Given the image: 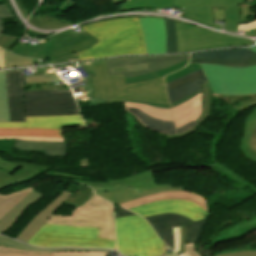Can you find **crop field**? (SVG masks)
Wrapping results in <instances>:
<instances>
[{"instance_id": "dbb93151", "label": "crop field", "mask_w": 256, "mask_h": 256, "mask_svg": "<svg viewBox=\"0 0 256 256\" xmlns=\"http://www.w3.org/2000/svg\"><path fill=\"white\" fill-rule=\"evenodd\" d=\"M17 40L18 38L16 37L2 34L0 36V46L9 50Z\"/></svg>"}, {"instance_id": "5866460e", "label": "crop field", "mask_w": 256, "mask_h": 256, "mask_svg": "<svg viewBox=\"0 0 256 256\" xmlns=\"http://www.w3.org/2000/svg\"><path fill=\"white\" fill-rule=\"evenodd\" d=\"M45 68L46 70L37 71V73L34 76L24 77L26 84L50 82V81H62L50 66Z\"/></svg>"}, {"instance_id": "120bbe31", "label": "crop field", "mask_w": 256, "mask_h": 256, "mask_svg": "<svg viewBox=\"0 0 256 256\" xmlns=\"http://www.w3.org/2000/svg\"><path fill=\"white\" fill-rule=\"evenodd\" d=\"M190 62L212 63V64H218V65L227 66V67H244V66L256 65V57H250V58L239 59V60L197 58V59H191Z\"/></svg>"}, {"instance_id": "4177f3b9", "label": "crop field", "mask_w": 256, "mask_h": 256, "mask_svg": "<svg viewBox=\"0 0 256 256\" xmlns=\"http://www.w3.org/2000/svg\"><path fill=\"white\" fill-rule=\"evenodd\" d=\"M184 188H186V187L161 189V190H155V191H151L148 193L136 195L130 187V188L115 191V192H100V191L98 192V191H96L95 194H97L113 203L119 204V203L131 201L134 199H138L142 196L149 195L152 193H159V192H163V191H178V190H184Z\"/></svg>"}, {"instance_id": "d32e631a", "label": "crop field", "mask_w": 256, "mask_h": 256, "mask_svg": "<svg viewBox=\"0 0 256 256\" xmlns=\"http://www.w3.org/2000/svg\"><path fill=\"white\" fill-rule=\"evenodd\" d=\"M125 107H135L146 114L161 120L173 121L170 109H158L143 104L125 102Z\"/></svg>"}, {"instance_id": "34b2d1b8", "label": "crop field", "mask_w": 256, "mask_h": 256, "mask_svg": "<svg viewBox=\"0 0 256 256\" xmlns=\"http://www.w3.org/2000/svg\"><path fill=\"white\" fill-rule=\"evenodd\" d=\"M119 252L131 256H158L164 254V244L151 226L140 216L119 218L115 221Z\"/></svg>"}, {"instance_id": "425ffa30", "label": "crop field", "mask_w": 256, "mask_h": 256, "mask_svg": "<svg viewBox=\"0 0 256 256\" xmlns=\"http://www.w3.org/2000/svg\"><path fill=\"white\" fill-rule=\"evenodd\" d=\"M4 163L21 166L25 169H29V170L40 172V173H45L46 171L51 169V167H48V166H42V165L31 164V163L12 162V161H5V160H4Z\"/></svg>"}, {"instance_id": "412701ff", "label": "crop field", "mask_w": 256, "mask_h": 256, "mask_svg": "<svg viewBox=\"0 0 256 256\" xmlns=\"http://www.w3.org/2000/svg\"><path fill=\"white\" fill-rule=\"evenodd\" d=\"M99 229L46 225L28 240V244L42 247L75 246L113 248L115 241L96 238Z\"/></svg>"}, {"instance_id": "b54c1fbb", "label": "crop field", "mask_w": 256, "mask_h": 256, "mask_svg": "<svg viewBox=\"0 0 256 256\" xmlns=\"http://www.w3.org/2000/svg\"><path fill=\"white\" fill-rule=\"evenodd\" d=\"M1 254H13V255H53V252H31L21 251L13 248L0 246Z\"/></svg>"}, {"instance_id": "d23c7cc5", "label": "crop field", "mask_w": 256, "mask_h": 256, "mask_svg": "<svg viewBox=\"0 0 256 256\" xmlns=\"http://www.w3.org/2000/svg\"><path fill=\"white\" fill-rule=\"evenodd\" d=\"M198 69H201L199 65L189 64L186 67H184L183 69L166 76L165 81H166V83H168V82L172 81L175 78H178L182 75L188 74V73L193 72V71L198 70Z\"/></svg>"}, {"instance_id": "c39391a2", "label": "crop field", "mask_w": 256, "mask_h": 256, "mask_svg": "<svg viewBox=\"0 0 256 256\" xmlns=\"http://www.w3.org/2000/svg\"><path fill=\"white\" fill-rule=\"evenodd\" d=\"M200 92H202V90H200L199 92H197V93H195V94H192V95H190V96H188V97H186V98H184V99H182V100H179V101H177V102L172 103L171 106L174 107V106H176V105H178V104H180V103H182V102H184V101H186V100H188V99H190V98L196 96V95L199 94Z\"/></svg>"}, {"instance_id": "447ae74e", "label": "crop field", "mask_w": 256, "mask_h": 256, "mask_svg": "<svg viewBox=\"0 0 256 256\" xmlns=\"http://www.w3.org/2000/svg\"><path fill=\"white\" fill-rule=\"evenodd\" d=\"M73 95L69 96H49V97H29L24 98L25 101H35V100H56V99H72Z\"/></svg>"}, {"instance_id": "750c4746", "label": "crop field", "mask_w": 256, "mask_h": 256, "mask_svg": "<svg viewBox=\"0 0 256 256\" xmlns=\"http://www.w3.org/2000/svg\"><path fill=\"white\" fill-rule=\"evenodd\" d=\"M231 175L235 176L238 180L242 181L243 183H247L246 181H244L243 179L238 177L236 174L233 173ZM247 184L252 186L249 183H247ZM255 190H256V188H255ZM255 224H256V218H254L250 221L245 220V221H243L239 224H236V225L232 226L231 228L227 229L226 233L215 237L214 242L212 243V245L214 246L218 242H224V241H227V240H231V239L239 236L240 234H242V229L250 227V226L255 225Z\"/></svg>"}, {"instance_id": "89e229c0", "label": "crop field", "mask_w": 256, "mask_h": 256, "mask_svg": "<svg viewBox=\"0 0 256 256\" xmlns=\"http://www.w3.org/2000/svg\"><path fill=\"white\" fill-rule=\"evenodd\" d=\"M16 184L12 176L0 169V188Z\"/></svg>"}, {"instance_id": "7b73153f", "label": "crop field", "mask_w": 256, "mask_h": 256, "mask_svg": "<svg viewBox=\"0 0 256 256\" xmlns=\"http://www.w3.org/2000/svg\"><path fill=\"white\" fill-rule=\"evenodd\" d=\"M256 28V20L238 26L237 31H247Z\"/></svg>"}, {"instance_id": "28ad6ade", "label": "crop field", "mask_w": 256, "mask_h": 256, "mask_svg": "<svg viewBox=\"0 0 256 256\" xmlns=\"http://www.w3.org/2000/svg\"><path fill=\"white\" fill-rule=\"evenodd\" d=\"M123 99L169 104L163 77L148 82L128 84L105 103V105L124 101Z\"/></svg>"}, {"instance_id": "0765c3eb", "label": "crop field", "mask_w": 256, "mask_h": 256, "mask_svg": "<svg viewBox=\"0 0 256 256\" xmlns=\"http://www.w3.org/2000/svg\"><path fill=\"white\" fill-rule=\"evenodd\" d=\"M221 132L220 131L213 139L212 143H211V146H210V153H211V157H212V161H214V158H215V154H216V148L218 146V143H219V139L221 137Z\"/></svg>"}, {"instance_id": "0bd39190", "label": "crop field", "mask_w": 256, "mask_h": 256, "mask_svg": "<svg viewBox=\"0 0 256 256\" xmlns=\"http://www.w3.org/2000/svg\"><path fill=\"white\" fill-rule=\"evenodd\" d=\"M0 122H9L4 71H0Z\"/></svg>"}, {"instance_id": "1f1604b0", "label": "crop field", "mask_w": 256, "mask_h": 256, "mask_svg": "<svg viewBox=\"0 0 256 256\" xmlns=\"http://www.w3.org/2000/svg\"><path fill=\"white\" fill-rule=\"evenodd\" d=\"M0 1H2V0H0Z\"/></svg>"}, {"instance_id": "25e5ab78", "label": "crop field", "mask_w": 256, "mask_h": 256, "mask_svg": "<svg viewBox=\"0 0 256 256\" xmlns=\"http://www.w3.org/2000/svg\"><path fill=\"white\" fill-rule=\"evenodd\" d=\"M106 252H54V256H106ZM0 256H12L1 255Z\"/></svg>"}, {"instance_id": "fb207236", "label": "crop field", "mask_w": 256, "mask_h": 256, "mask_svg": "<svg viewBox=\"0 0 256 256\" xmlns=\"http://www.w3.org/2000/svg\"><path fill=\"white\" fill-rule=\"evenodd\" d=\"M196 125H197V124H196ZM199 125H200V124H198V125L195 126L193 129H191L190 131H188V132H186V133H184V134H181V135H168L167 138H171V137H181V136H183V135L189 134V133L193 132Z\"/></svg>"}, {"instance_id": "d3111659", "label": "crop field", "mask_w": 256, "mask_h": 256, "mask_svg": "<svg viewBox=\"0 0 256 256\" xmlns=\"http://www.w3.org/2000/svg\"><path fill=\"white\" fill-rule=\"evenodd\" d=\"M249 56H256V52L249 49H237V50H227V51H209V52L191 54V58L208 57V58L239 59V58H244Z\"/></svg>"}, {"instance_id": "92a150f3", "label": "crop field", "mask_w": 256, "mask_h": 256, "mask_svg": "<svg viewBox=\"0 0 256 256\" xmlns=\"http://www.w3.org/2000/svg\"><path fill=\"white\" fill-rule=\"evenodd\" d=\"M164 199H187V200H190V201L198 204L200 207H202L204 210H206L204 198L195 193H191V192H187V191L163 192L160 194H153V195L145 196L138 200H134V201L127 202L124 204H120V205L129 209V208H132L135 206H139V205L146 204V203H151L154 201L164 200Z\"/></svg>"}, {"instance_id": "8a807250", "label": "crop field", "mask_w": 256, "mask_h": 256, "mask_svg": "<svg viewBox=\"0 0 256 256\" xmlns=\"http://www.w3.org/2000/svg\"><path fill=\"white\" fill-rule=\"evenodd\" d=\"M100 41L87 51L52 60L50 64L109 57L122 54H145L144 39L137 17L113 18L79 26Z\"/></svg>"}, {"instance_id": "cbeb9de0", "label": "crop field", "mask_w": 256, "mask_h": 256, "mask_svg": "<svg viewBox=\"0 0 256 256\" xmlns=\"http://www.w3.org/2000/svg\"><path fill=\"white\" fill-rule=\"evenodd\" d=\"M74 181V180H73ZM108 183H96V182H83L76 181L84 184L90 185L94 189L100 191H115L131 186L136 194L148 192L154 189L172 187L170 185H158L153 173L149 170L142 174L136 175L131 178H125L122 180L112 181L109 180ZM99 184V186H97Z\"/></svg>"}, {"instance_id": "f0312440", "label": "crop field", "mask_w": 256, "mask_h": 256, "mask_svg": "<svg viewBox=\"0 0 256 256\" xmlns=\"http://www.w3.org/2000/svg\"><path fill=\"white\" fill-rule=\"evenodd\" d=\"M0 139H14V137H0Z\"/></svg>"}, {"instance_id": "1d79db26", "label": "crop field", "mask_w": 256, "mask_h": 256, "mask_svg": "<svg viewBox=\"0 0 256 256\" xmlns=\"http://www.w3.org/2000/svg\"><path fill=\"white\" fill-rule=\"evenodd\" d=\"M10 17L12 16L9 10L7 9L6 5H1L0 6V35L3 33L5 29L2 19L10 18Z\"/></svg>"}, {"instance_id": "b80d0937", "label": "crop field", "mask_w": 256, "mask_h": 256, "mask_svg": "<svg viewBox=\"0 0 256 256\" xmlns=\"http://www.w3.org/2000/svg\"><path fill=\"white\" fill-rule=\"evenodd\" d=\"M211 88L209 82H204L203 85V96H202V104H203V113L202 115L196 120L198 123H203L210 114L211 108Z\"/></svg>"}, {"instance_id": "7312dd0a", "label": "crop field", "mask_w": 256, "mask_h": 256, "mask_svg": "<svg viewBox=\"0 0 256 256\" xmlns=\"http://www.w3.org/2000/svg\"><path fill=\"white\" fill-rule=\"evenodd\" d=\"M111 1L115 4H119V3H122V2L127 1V0H111Z\"/></svg>"}, {"instance_id": "028f5c9d", "label": "crop field", "mask_w": 256, "mask_h": 256, "mask_svg": "<svg viewBox=\"0 0 256 256\" xmlns=\"http://www.w3.org/2000/svg\"><path fill=\"white\" fill-rule=\"evenodd\" d=\"M0 245L18 248V249H22V250H32V251H106V252H108V250L37 249V248H33V247H30V246L22 244V243L15 242L13 240H10V239H8L6 237H2V236H0Z\"/></svg>"}, {"instance_id": "bc2a9ffb", "label": "crop field", "mask_w": 256, "mask_h": 256, "mask_svg": "<svg viewBox=\"0 0 256 256\" xmlns=\"http://www.w3.org/2000/svg\"><path fill=\"white\" fill-rule=\"evenodd\" d=\"M125 110L136 116L143 125L147 126L155 132H159L162 134H180L190 130L197 124L192 120L189 123L181 126L180 128L175 129L173 122L161 121L159 119L152 118L134 108H125Z\"/></svg>"}, {"instance_id": "ae633e8c", "label": "crop field", "mask_w": 256, "mask_h": 256, "mask_svg": "<svg viewBox=\"0 0 256 256\" xmlns=\"http://www.w3.org/2000/svg\"><path fill=\"white\" fill-rule=\"evenodd\" d=\"M105 102H106V100H103V99L91 98L89 106L90 107L100 106V105H103Z\"/></svg>"}, {"instance_id": "dafd665d", "label": "crop field", "mask_w": 256, "mask_h": 256, "mask_svg": "<svg viewBox=\"0 0 256 256\" xmlns=\"http://www.w3.org/2000/svg\"><path fill=\"white\" fill-rule=\"evenodd\" d=\"M201 96L202 93L172 109L176 128L192 119L196 120L201 115Z\"/></svg>"}, {"instance_id": "3316defc", "label": "crop field", "mask_w": 256, "mask_h": 256, "mask_svg": "<svg viewBox=\"0 0 256 256\" xmlns=\"http://www.w3.org/2000/svg\"><path fill=\"white\" fill-rule=\"evenodd\" d=\"M189 58V54L160 57H123L105 60L108 75L124 73L125 78L167 68Z\"/></svg>"}, {"instance_id": "1d83c4d3", "label": "crop field", "mask_w": 256, "mask_h": 256, "mask_svg": "<svg viewBox=\"0 0 256 256\" xmlns=\"http://www.w3.org/2000/svg\"><path fill=\"white\" fill-rule=\"evenodd\" d=\"M34 188L25 189L22 191L10 193L7 195L0 194V219L10 211L18 202H20Z\"/></svg>"}, {"instance_id": "5142ce71", "label": "crop field", "mask_w": 256, "mask_h": 256, "mask_svg": "<svg viewBox=\"0 0 256 256\" xmlns=\"http://www.w3.org/2000/svg\"><path fill=\"white\" fill-rule=\"evenodd\" d=\"M145 39L146 54L165 53L166 28L163 18L138 17Z\"/></svg>"}, {"instance_id": "c3a83c6f", "label": "crop field", "mask_w": 256, "mask_h": 256, "mask_svg": "<svg viewBox=\"0 0 256 256\" xmlns=\"http://www.w3.org/2000/svg\"><path fill=\"white\" fill-rule=\"evenodd\" d=\"M180 232H181V252L183 253V248H184V226L180 228Z\"/></svg>"}, {"instance_id": "e52e79f7", "label": "crop field", "mask_w": 256, "mask_h": 256, "mask_svg": "<svg viewBox=\"0 0 256 256\" xmlns=\"http://www.w3.org/2000/svg\"><path fill=\"white\" fill-rule=\"evenodd\" d=\"M99 40L84 32L73 36L68 31L53 36L44 44L14 47L11 52L41 60H50L71 53L87 50Z\"/></svg>"}, {"instance_id": "4a817a6b", "label": "crop field", "mask_w": 256, "mask_h": 256, "mask_svg": "<svg viewBox=\"0 0 256 256\" xmlns=\"http://www.w3.org/2000/svg\"><path fill=\"white\" fill-rule=\"evenodd\" d=\"M154 227L157 234L167 243V245L173 250V235L172 227L192 222L185 216L177 215L174 213H167L157 216H151L145 218Z\"/></svg>"}, {"instance_id": "d1516ede", "label": "crop field", "mask_w": 256, "mask_h": 256, "mask_svg": "<svg viewBox=\"0 0 256 256\" xmlns=\"http://www.w3.org/2000/svg\"><path fill=\"white\" fill-rule=\"evenodd\" d=\"M244 0H174L172 8H184V17L212 25V7L226 8L242 4Z\"/></svg>"}, {"instance_id": "78b8030e", "label": "crop field", "mask_w": 256, "mask_h": 256, "mask_svg": "<svg viewBox=\"0 0 256 256\" xmlns=\"http://www.w3.org/2000/svg\"><path fill=\"white\" fill-rule=\"evenodd\" d=\"M3 159L0 158V168L4 169L5 171L9 172L10 174L20 169V167H16L13 165H7L2 163Z\"/></svg>"}, {"instance_id": "ade564c9", "label": "crop field", "mask_w": 256, "mask_h": 256, "mask_svg": "<svg viewBox=\"0 0 256 256\" xmlns=\"http://www.w3.org/2000/svg\"><path fill=\"white\" fill-rule=\"evenodd\" d=\"M128 101V100H125ZM129 102H137V101H129ZM137 103H143V104H147L150 106H155V107H159V108H170L169 105H164V104H149V103H144V102H137Z\"/></svg>"}, {"instance_id": "1f2cbd36", "label": "crop field", "mask_w": 256, "mask_h": 256, "mask_svg": "<svg viewBox=\"0 0 256 256\" xmlns=\"http://www.w3.org/2000/svg\"><path fill=\"white\" fill-rule=\"evenodd\" d=\"M154 78H157V75L155 74V72L141 75V76L132 77V78H127V79H125V84L147 81V80H151Z\"/></svg>"}, {"instance_id": "730fd06b", "label": "crop field", "mask_w": 256, "mask_h": 256, "mask_svg": "<svg viewBox=\"0 0 256 256\" xmlns=\"http://www.w3.org/2000/svg\"><path fill=\"white\" fill-rule=\"evenodd\" d=\"M0 136H50V137H62V129L0 128Z\"/></svg>"}, {"instance_id": "ac0d7876", "label": "crop field", "mask_w": 256, "mask_h": 256, "mask_svg": "<svg viewBox=\"0 0 256 256\" xmlns=\"http://www.w3.org/2000/svg\"><path fill=\"white\" fill-rule=\"evenodd\" d=\"M5 76L10 122H25V116L79 114L74 99L36 102L23 100V97L29 96L68 95L72 94L70 90L23 92L22 84L25 83L22 69L5 71Z\"/></svg>"}, {"instance_id": "733c2abd", "label": "crop field", "mask_w": 256, "mask_h": 256, "mask_svg": "<svg viewBox=\"0 0 256 256\" xmlns=\"http://www.w3.org/2000/svg\"><path fill=\"white\" fill-rule=\"evenodd\" d=\"M84 125L79 115L26 117V123H0V127L63 128Z\"/></svg>"}, {"instance_id": "bd1437ed", "label": "crop field", "mask_w": 256, "mask_h": 256, "mask_svg": "<svg viewBox=\"0 0 256 256\" xmlns=\"http://www.w3.org/2000/svg\"><path fill=\"white\" fill-rule=\"evenodd\" d=\"M215 96L223 98L225 102L237 109L239 112L256 105V94L243 96L213 94V97Z\"/></svg>"}, {"instance_id": "eef30255", "label": "crop field", "mask_w": 256, "mask_h": 256, "mask_svg": "<svg viewBox=\"0 0 256 256\" xmlns=\"http://www.w3.org/2000/svg\"><path fill=\"white\" fill-rule=\"evenodd\" d=\"M256 125V109L247 117L244 130L243 137L241 141V149L245 157L253 162H256V153L250 149L249 147V139L252 134V131Z\"/></svg>"}, {"instance_id": "d9b57169", "label": "crop field", "mask_w": 256, "mask_h": 256, "mask_svg": "<svg viewBox=\"0 0 256 256\" xmlns=\"http://www.w3.org/2000/svg\"><path fill=\"white\" fill-rule=\"evenodd\" d=\"M203 81L207 80L202 70H198L166 84L170 102L177 101L202 89Z\"/></svg>"}, {"instance_id": "22f410ed", "label": "crop field", "mask_w": 256, "mask_h": 256, "mask_svg": "<svg viewBox=\"0 0 256 256\" xmlns=\"http://www.w3.org/2000/svg\"><path fill=\"white\" fill-rule=\"evenodd\" d=\"M129 210L140 214L143 217L162 214L166 212H174L177 214L185 215L193 221L203 219L208 216V213L200 208L198 205L186 200H165L142 205Z\"/></svg>"}, {"instance_id": "db79e9e6", "label": "crop field", "mask_w": 256, "mask_h": 256, "mask_svg": "<svg viewBox=\"0 0 256 256\" xmlns=\"http://www.w3.org/2000/svg\"><path fill=\"white\" fill-rule=\"evenodd\" d=\"M173 235H174V252L179 253L180 251V233L179 228L174 229L173 228Z\"/></svg>"}, {"instance_id": "9d1cf04e", "label": "crop field", "mask_w": 256, "mask_h": 256, "mask_svg": "<svg viewBox=\"0 0 256 256\" xmlns=\"http://www.w3.org/2000/svg\"><path fill=\"white\" fill-rule=\"evenodd\" d=\"M178 256H201L195 247V243L185 244L184 254H177Z\"/></svg>"}, {"instance_id": "d14b1444", "label": "crop field", "mask_w": 256, "mask_h": 256, "mask_svg": "<svg viewBox=\"0 0 256 256\" xmlns=\"http://www.w3.org/2000/svg\"><path fill=\"white\" fill-rule=\"evenodd\" d=\"M250 147L256 152V127L253 131L252 137L250 139Z\"/></svg>"}, {"instance_id": "c035e120", "label": "crop field", "mask_w": 256, "mask_h": 256, "mask_svg": "<svg viewBox=\"0 0 256 256\" xmlns=\"http://www.w3.org/2000/svg\"><path fill=\"white\" fill-rule=\"evenodd\" d=\"M207 219L200 220L185 226V243L195 242Z\"/></svg>"}, {"instance_id": "5a996713", "label": "crop field", "mask_w": 256, "mask_h": 256, "mask_svg": "<svg viewBox=\"0 0 256 256\" xmlns=\"http://www.w3.org/2000/svg\"><path fill=\"white\" fill-rule=\"evenodd\" d=\"M90 64L82 66L79 63L89 76L84 78L88 84L79 86L82 92L79 95H75L76 99L86 100L91 96L109 100L124 86L123 74L107 76L104 60L92 61Z\"/></svg>"}, {"instance_id": "c5b07064", "label": "crop field", "mask_w": 256, "mask_h": 256, "mask_svg": "<svg viewBox=\"0 0 256 256\" xmlns=\"http://www.w3.org/2000/svg\"><path fill=\"white\" fill-rule=\"evenodd\" d=\"M4 68V49L0 47V69Z\"/></svg>"}, {"instance_id": "73cf0c24", "label": "crop field", "mask_w": 256, "mask_h": 256, "mask_svg": "<svg viewBox=\"0 0 256 256\" xmlns=\"http://www.w3.org/2000/svg\"><path fill=\"white\" fill-rule=\"evenodd\" d=\"M214 168L216 170H218L219 172H221L222 174H224L225 176H227L228 178H230L232 181H234V182L244 186L245 188H247L251 192L250 193L251 196L256 194V191L252 187L247 186L246 184H243L240 181H238L236 178L232 177L230 174L233 173V172H231L227 168H225V167H223V166H221V165H219L217 163L215 164Z\"/></svg>"}, {"instance_id": "c21b1889", "label": "crop field", "mask_w": 256, "mask_h": 256, "mask_svg": "<svg viewBox=\"0 0 256 256\" xmlns=\"http://www.w3.org/2000/svg\"><path fill=\"white\" fill-rule=\"evenodd\" d=\"M167 28V50L166 53H177L175 21L165 19Z\"/></svg>"}, {"instance_id": "e1d0b9f6", "label": "crop field", "mask_w": 256, "mask_h": 256, "mask_svg": "<svg viewBox=\"0 0 256 256\" xmlns=\"http://www.w3.org/2000/svg\"><path fill=\"white\" fill-rule=\"evenodd\" d=\"M128 215H133V213L128 212L120 207L116 208V218L124 217V216H128Z\"/></svg>"}, {"instance_id": "00972430", "label": "crop field", "mask_w": 256, "mask_h": 256, "mask_svg": "<svg viewBox=\"0 0 256 256\" xmlns=\"http://www.w3.org/2000/svg\"><path fill=\"white\" fill-rule=\"evenodd\" d=\"M14 147L24 150L44 151L49 156H66L68 151L67 142H28L16 140Z\"/></svg>"}, {"instance_id": "180be81f", "label": "crop field", "mask_w": 256, "mask_h": 256, "mask_svg": "<svg viewBox=\"0 0 256 256\" xmlns=\"http://www.w3.org/2000/svg\"><path fill=\"white\" fill-rule=\"evenodd\" d=\"M245 34L254 35V34H256V29H255V30H252L251 32H247V33H245Z\"/></svg>"}, {"instance_id": "5d738f31", "label": "crop field", "mask_w": 256, "mask_h": 256, "mask_svg": "<svg viewBox=\"0 0 256 256\" xmlns=\"http://www.w3.org/2000/svg\"><path fill=\"white\" fill-rule=\"evenodd\" d=\"M41 174L35 173L29 170L20 169L16 173L12 174L13 178L15 179L16 183H21L30 179H33Z\"/></svg>"}, {"instance_id": "0f1d7ab4", "label": "crop field", "mask_w": 256, "mask_h": 256, "mask_svg": "<svg viewBox=\"0 0 256 256\" xmlns=\"http://www.w3.org/2000/svg\"><path fill=\"white\" fill-rule=\"evenodd\" d=\"M217 256H256V251L240 252V253H233V254H227V255H217Z\"/></svg>"}, {"instance_id": "214f88e0", "label": "crop field", "mask_w": 256, "mask_h": 256, "mask_svg": "<svg viewBox=\"0 0 256 256\" xmlns=\"http://www.w3.org/2000/svg\"><path fill=\"white\" fill-rule=\"evenodd\" d=\"M72 193L63 191L51 204L41 211L15 238L17 240L27 242L33 234L39 230L45 220L55 211Z\"/></svg>"}, {"instance_id": "dd49c442", "label": "crop field", "mask_w": 256, "mask_h": 256, "mask_svg": "<svg viewBox=\"0 0 256 256\" xmlns=\"http://www.w3.org/2000/svg\"><path fill=\"white\" fill-rule=\"evenodd\" d=\"M256 51V48H252ZM211 84L212 93L250 94L256 93V66L227 68L212 64H201Z\"/></svg>"}, {"instance_id": "d8731c3e", "label": "crop field", "mask_w": 256, "mask_h": 256, "mask_svg": "<svg viewBox=\"0 0 256 256\" xmlns=\"http://www.w3.org/2000/svg\"><path fill=\"white\" fill-rule=\"evenodd\" d=\"M176 27L178 53L253 44L247 39L210 32L177 21Z\"/></svg>"}, {"instance_id": "f4fd0767", "label": "crop field", "mask_w": 256, "mask_h": 256, "mask_svg": "<svg viewBox=\"0 0 256 256\" xmlns=\"http://www.w3.org/2000/svg\"><path fill=\"white\" fill-rule=\"evenodd\" d=\"M111 204L93 195L82 207L75 208L71 216L51 215L45 223L100 228L97 237L115 240Z\"/></svg>"}, {"instance_id": "0fb4a251", "label": "crop field", "mask_w": 256, "mask_h": 256, "mask_svg": "<svg viewBox=\"0 0 256 256\" xmlns=\"http://www.w3.org/2000/svg\"><path fill=\"white\" fill-rule=\"evenodd\" d=\"M188 60H189V59H188ZM188 60L183 61V62H181V63H178V64H176V65H173V66H171V67H169V68H167V69L160 70V71H156V74L158 75V77L167 75V74H169V73H171V72H173V71H176V70H178V69H180V68L186 66L187 63H188Z\"/></svg>"}, {"instance_id": "ae1a2a85", "label": "crop field", "mask_w": 256, "mask_h": 256, "mask_svg": "<svg viewBox=\"0 0 256 256\" xmlns=\"http://www.w3.org/2000/svg\"><path fill=\"white\" fill-rule=\"evenodd\" d=\"M172 0H129L120 11L139 9H171Z\"/></svg>"}, {"instance_id": "03da06ac", "label": "crop field", "mask_w": 256, "mask_h": 256, "mask_svg": "<svg viewBox=\"0 0 256 256\" xmlns=\"http://www.w3.org/2000/svg\"><path fill=\"white\" fill-rule=\"evenodd\" d=\"M33 65L32 59L19 58L9 51L5 50V68L23 67Z\"/></svg>"}, {"instance_id": "e1f06a70", "label": "crop field", "mask_w": 256, "mask_h": 256, "mask_svg": "<svg viewBox=\"0 0 256 256\" xmlns=\"http://www.w3.org/2000/svg\"><path fill=\"white\" fill-rule=\"evenodd\" d=\"M241 10L238 7L225 9V23L223 30L236 33Z\"/></svg>"}, {"instance_id": "a9b5d70f", "label": "crop field", "mask_w": 256, "mask_h": 256, "mask_svg": "<svg viewBox=\"0 0 256 256\" xmlns=\"http://www.w3.org/2000/svg\"><path fill=\"white\" fill-rule=\"evenodd\" d=\"M42 197L43 195L38 194L34 191L26 196L19 204H17L9 213H7L0 220V233L8 230L26 208H28L32 203L40 200Z\"/></svg>"}]
</instances>
